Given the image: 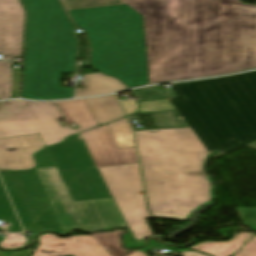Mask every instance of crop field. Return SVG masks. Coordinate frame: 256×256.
<instances>
[{
	"label": "crop field",
	"instance_id": "d8731c3e",
	"mask_svg": "<svg viewBox=\"0 0 256 256\" xmlns=\"http://www.w3.org/2000/svg\"><path fill=\"white\" fill-rule=\"evenodd\" d=\"M33 256H110L92 236L57 238L44 234Z\"/></svg>",
	"mask_w": 256,
	"mask_h": 256
},
{
	"label": "crop field",
	"instance_id": "d1516ede",
	"mask_svg": "<svg viewBox=\"0 0 256 256\" xmlns=\"http://www.w3.org/2000/svg\"><path fill=\"white\" fill-rule=\"evenodd\" d=\"M84 78L86 88L76 89V97L107 94L127 88L117 79L107 77L101 73L84 75Z\"/></svg>",
	"mask_w": 256,
	"mask_h": 256
},
{
	"label": "crop field",
	"instance_id": "dafd665d",
	"mask_svg": "<svg viewBox=\"0 0 256 256\" xmlns=\"http://www.w3.org/2000/svg\"><path fill=\"white\" fill-rule=\"evenodd\" d=\"M234 256H256V236L250 240L242 249H240Z\"/></svg>",
	"mask_w": 256,
	"mask_h": 256
},
{
	"label": "crop field",
	"instance_id": "3316defc",
	"mask_svg": "<svg viewBox=\"0 0 256 256\" xmlns=\"http://www.w3.org/2000/svg\"><path fill=\"white\" fill-rule=\"evenodd\" d=\"M44 148L38 134L0 139V169L23 170L35 166L32 154Z\"/></svg>",
	"mask_w": 256,
	"mask_h": 256
},
{
	"label": "crop field",
	"instance_id": "ac0d7876",
	"mask_svg": "<svg viewBox=\"0 0 256 256\" xmlns=\"http://www.w3.org/2000/svg\"><path fill=\"white\" fill-rule=\"evenodd\" d=\"M144 16L150 83L256 68V5L122 0Z\"/></svg>",
	"mask_w": 256,
	"mask_h": 256
},
{
	"label": "crop field",
	"instance_id": "22f410ed",
	"mask_svg": "<svg viewBox=\"0 0 256 256\" xmlns=\"http://www.w3.org/2000/svg\"><path fill=\"white\" fill-rule=\"evenodd\" d=\"M99 125L121 118L124 114L115 96L86 99Z\"/></svg>",
	"mask_w": 256,
	"mask_h": 256
},
{
	"label": "crop field",
	"instance_id": "cbeb9de0",
	"mask_svg": "<svg viewBox=\"0 0 256 256\" xmlns=\"http://www.w3.org/2000/svg\"><path fill=\"white\" fill-rule=\"evenodd\" d=\"M253 234L240 232L234 234V238L226 242H208L204 241L189 249H195L212 256H231L241 246H243Z\"/></svg>",
	"mask_w": 256,
	"mask_h": 256
},
{
	"label": "crop field",
	"instance_id": "eef30255",
	"mask_svg": "<svg viewBox=\"0 0 256 256\" xmlns=\"http://www.w3.org/2000/svg\"><path fill=\"white\" fill-rule=\"evenodd\" d=\"M182 256H210V255H203L199 252H190L187 250L180 251Z\"/></svg>",
	"mask_w": 256,
	"mask_h": 256
},
{
	"label": "crop field",
	"instance_id": "750c4746",
	"mask_svg": "<svg viewBox=\"0 0 256 256\" xmlns=\"http://www.w3.org/2000/svg\"><path fill=\"white\" fill-rule=\"evenodd\" d=\"M246 147L252 148V149H256V142L251 143L249 145H247Z\"/></svg>",
	"mask_w": 256,
	"mask_h": 256
},
{
	"label": "crop field",
	"instance_id": "214f88e0",
	"mask_svg": "<svg viewBox=\"0 0 256 256\" xmlns=\"http://www.w3.org/2000/svg\"><path fill=\"white\" fill-rule=\"evenodd\" d=\"M26 239L23 233L9 234L6 240L0 243L2 248H19L25 245Z\"/></svg>",
	"mask_w": 256,
	"mask_h": 256
},
{
	"label": "crop field",
	"instance_id": "1d83c4d3",
	"mask_svg": "<svg viewBox=\"0 0 256 256\" xmlns=\"http://www.w3.org/2000/svg\"><path fill=\"white\" fill-rule=\"evenodd\" d=\"M5 102V101H4ZM4 102H0V105H2Z\"/></svg>",
	"mask_w": 256,
	"mask_h": 256
},
{
	"label": "crop field",
	"instance_id": "dd49c442",
	"mask_svg": "<svg viewBox=\"0 0 256 256\" xmlns=\"http://www.w3.org/2000/svg\"><path fill=\"white\" fill-rule=\"evenodd\" d=\"M55 118L61 116L54 102L9 101L0 108V138L39 133L45 146L58 143L71 129Z\"/></svg>",
	"mask_w": 256,
	"mask_h": 256
},
{
	"label": "crop field",
	"instance_id": "34b2d1b8",
	"mask_svg": "<svg viewBox=\"0 0 256 256\" xmlns=\"http://www.w3.org/2000/svg\"><path fill=\"white\" fill-rule=\"evenodd\" d=\"M48 147L57 167L1 171L25 229L86 232L126 223L97 167L138 163L135 147L118 149L107 125Z\"/></svg>",
	"mask_w": 256,
	"mask_h": 256
},
{
	"label": "crop field",
	"instance_id": "730fd06b",
	"mask_svg": "<svg viewBox=\"0 0 256 256\" xmlns=\"http://www.w3.org/2000/svg\"><path fill=\"white\" fill-rule=\"evenodd\" d=\"M20 71H14L12 98L18 97Z\"/></svg>",
	"mask_w": 256,
	"mask_h": 256
},
{
	"label": "crop field",
	"instance_id": "8a807250",
	"mask_svg": "<svg viewBox=\"0 0 256 256\" xmlns=\"http://www.w3.org/2000/svg\"><path fill=\"white\" fill-rule=\"evenodd\" d=\"M169 98L190 128L135 132L154 217L186 220L211 199L203 164L256 140V71L171 84Z\"/></svg>",
	"mask_w": 256,
	"mask_h": 256
},
{
	"label": "crop field",
	"instance_id": "f4fd0767",
	"mask_svg": "<svg viewBox=\"0 0 256 256\" xmlns=\"http://www.w3.org/2000/svg\"><path fill=\"white\" fill-rule=\"evenodd\" d=\"M68 12L86 32L95 69L129 87L148 83L141 15L126 4Z\"/></svg>",
	"mask_w": 256,
	"mask_h": 256
},
{
	"label": "crop field",
	"instance_id": "d9b57169",
	"mask_svg": "<svg viewBox=\"0 0 256 256\" xmlns=\"http://www.w3.org/2000/svg\"><path fill=\"white\" fill-rule=\"evenodd\" d=\"M0 219L6 220L10 224V232L21 231V227L10 206L6 193L0 182Z\"/></svg>",
	"mask_w": 256,
	"mask_h": 256
},
{
	"label": "crop field",
	"instance_id": "5a996713",
	"mask_svg": "<svg viewBox=\"0 0 256 256\" xmlns=\"http://www.w3.org/2000/svg\"><path fill=\"white\" fill-rule=\"evenodd\" d=\"M24 13L18 0H0L1 60L20 56Z\"/></svg>",
	"mask_w": 256,
	"mask_h": 256
},
{
	"label": "crop field",
	"instance_id": "5142ce71",
	"mask_svg": "<svg viewBox=\"0 0 256 256\" xmlns=\"http://www.w3.org/2000/svg\"><path fill=\"white\" fill-rule=\"evenodd\" d=\"M108 127L119 148L135 146L131 127L126 118L108 124Z\"/></svg>",
	"mask_w": 256,
	"mask_h": 256
},
{
	"label": "crop field",
	"instance_id": "733c2abd",
	"mask_svg": "<svg viewBox=\"0 0 256 256\" xmlns=\"http://www.w3.org/2000/svg\"><path fill=\"white\" fill-rule=\"evenodd\" d=\"M12 64L0 61V99L9 98L11 93Z\"/></svg>",
	"mask_w": 256,
	"mask_h": 256
},
{
	"label": "crop field",
	"instance_id": "28ad6ade",
	"mask_svg": "<svg viewBox=\"0 0 256 256\" xmlns=\"http://www.w3.org/2000/svg\"><path fill=\"white\" fill-rule=\"evenodd\" d=\"M67 123L75 122L79 125L80 132L93 126H97L94 116L84 99L57 102Z\"/></svg>",
	"mask_w": 256,
	"mask_h": 256
},
{
	"label": "crop field",
	"instance_id": "00972430",
	"mask_svg": "<svg viewBox=\"0 0 256 256\" xmlns=\"http://www.w3.org/2000/svg\"><path fill=\"white\" fill-rule=\"evenodd\" d=\"M35 157L38 163V167L54 166L46 148L39 152L37 155H35Z\"/></svg>",
	"mask_w": 256,
	"mask_h": 256
},
{
	"label": "crop field",
	"instance_id": "e52e79f7",
	"mask_svg": "<svg viewBox=\"0 0 256 256\" xmlns=\"http://www.w3.org/2000/svg\"><path fill=\"white\" fill-rule=\"evenodd\" d=\"M136 241L152 235L146 212L138 164L98 168Z\"/></svg>",
	"mask_w": 256,
	"mask_h": 256
},
{
	"label": "crop field",
	"instance_id": "4177f3b9",
	"mask_svg": "<svg viewBox=\"0 0 256 256\" xmlns=\"http://www.w3.org/2000/svg\"><path fill=\"white\" fill-rule=\"evenodd\" d=\"M126 240V247H136L145 244V240L142 239L138 242L135 241L134 237L132 236L131 232L124 236Z\"/></svg>",
	"mask_w": 256,
	"mask_h": 256
},
{
	"label": "crop field",
	"instance_id": "bd1437ed",
	"mask_svg": "<svg viewBox=\"0 0 256 256\" xmlns=\"http://www.w3.org/2000/svg\"><path fill=\"white\" fill-rule=\"evenodd\" d=\"M0 256H5V254L3 252L0 251Z\"/></svg>",
	"mask_w": 256,
	"mask_h": 256
},
{
	"label": "crop field",
	"instance_id": "d3111659",
	"mask_svg": "<svg viewBox=\"0 0 256 256\" xmlns=\"http://www.w3.org/2000/svg\"><path fill=\"white\" fill-rule=\"evenodd\" d=\"M129 256H147L146 253H144L142 250H138L130 254Z\"/></svg>",
	"mask_w": 256,
	"mask_h": 256
},
{
	"label": "crop field",
	"instance_id": "412701ff",
	"mask_svg": "<svg viewBox=\"0 0 256 256\" xmlns=\"http://www.w3.org/2000/svg\"><path fill=\"white\" fill-rule=\"evenodd\" d=\"M22 1L28 13L22 98H73V88H60V72L74 71L72 25L57 0Z\"/></svg>",
	"mask_w": 256,
	"mask_h": 256
},
{
	"label": "crop field",
	"instance_id": "4a817a6b",
	"mask_svg": "<svg viewBox=\"0 0 256 256\" xmlns=\"http://www.w3.org/2000/svg\"><path fill=\"white\" fill-rule=\"evenodd\" d=\"M66 9L121 4V0H62Z\"/></svg>",
	"mask_w": 256,
	"mask_h": 256
},
{
	"label": "crop field",
	"instance_id": "bc2a9ffb",
	"mask_svg": "<svg viewBox=\"0 0 256 256\" xmlns=\"http://www.w3.org/2000/svg\"><path fill=\"white\" fill-rule=\"evenodd\" d=\"M139 109L138 112H152V111H163V110H172L175 109L169 101L159 100V101H146L138 102Z\"/></svg>",
	"mask_w": 256,
	"mask_h": 256
},
{
	"label": "crop field",
	"instance_id": "a9b5d70f",
	"mask_svg": "<svg viewBox=\"0 0 256 256\" xmlns=\"http://www.w3.org/2000/svg\"><path fill=\"white\" fill-rule=\"evenodd\" d=\"M127 115L136 111L137 106H136V102L134 101V99H126V100H120Z\"/></svg>",
	"mask_w": 256,
	"mask_h": 256
},
{
	"label": "crop field",
	"instance_id": "92a150f3",
	"mask_svg": "<svg viewBox=\"0 0 256 256\" xmlns=\"http://www.w3.org/2000/svg\"><path fill=\"white\" fill-rule=\"evenodd\" d=\"M244 224L256 231V208L237 209Z\"/></svg>",
	"mask_w": 256,
	"mask_h": 256
},
{
	"label": "crop field",
	"instance_id": "ae1a2a85",
	"mask_svg": "<svg viewBox=\"0 0 256 256\" xmlns=\"http://www.w3.org/2000/svg\"><path fill=\"white\" fill-rule=\"evenodd\" d=\"M32 249L23 252H12L10 256H29Z\"/></svg>",
	"mask_w": 256,
	"mask_h": 256
}]
</instances>
